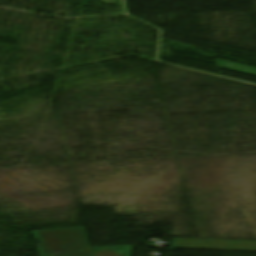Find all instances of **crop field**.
<instances>
[{
    "mask_svg": "<svg viewBox=\"0 0 256 256\" xmlns=\"http://www.w3.org/2000/svg\"><path fill=\"white\" fill-rule=\"evenodd\" d=\"M38 233L45 256H93L89 242H86L88 238L85 228L45 230Z\"/></svg>",
    "mask_w": 256,
    "mask_h": 256,
    "instance_id": "obj_1",
    "label": "crop field"
}]
</instances>
